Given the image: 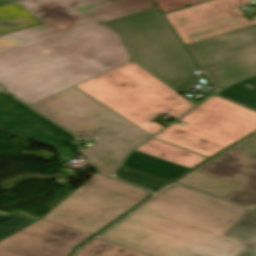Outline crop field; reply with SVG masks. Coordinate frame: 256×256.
<instances>
[{
    "label": "crop field",
    "instance_id": "8a807250",
    "mask_svg": "<svg viewBox=\"0 0 256 256\" xmlns=\"http://www.w3.org/2000/svg\"><path fill=\"white\" fill-rule=\"evenodd\" d=\"M42 22L0 37V84L31 105L130 61L98 22L155 7L152 0H24Z\"/></svg>",
    "mask_w": 256,
    "mask_h": 256
},
{
    "label": "crop field",
    "instance_id": "ac0d7876",
    "mask_svg": "<svg viewBox=\"0 0 256 256\" xmlns=\"http://www.w3.org/2000/svg\"><path fill=\"white\" fill-rule=\"evenodd\" d=\"M247 209L173 185L100 237L157 256H235L246 245L223 235Z\"/></svg>",
    "mask_w": 256,
    "mask_h": 256
},
{
    "label": "crop field",
    "instance_id": "34b2d1b8",
    "mask_svg": "<svg viewBox=\"0 0 256 256\" xmlns=\"http://www.w3.org/2000/svg\"><path fill=\"white\" fill-rule=\"evenodd\" d=\"M31 106L78 137L96 135L95 145L82 151L91 164L105 174L110 175L134 146L149 138L73 87Z\"/></svg>",
    "mask_w": 256,
    "mask_h": 256
},
{
    "label": "crop field",
    "instance_id": "412701ff",
    "mask_svg": "<svg viewBox=\"0 0 256 256\" xmlns=\"http://www.w3.org/2000/svg\"><path fill=\"white\" fill-rule=\"evenodd\" d=\"M102 25L119 34L135 64L174 92L198 80L197 67L156 7Z\"/></svg>",
    "mask_w": 256,
    "mask_h": 256
},
{
    "label": "crop field",
    "instance_id": "f4fd0767",
    "mask_svg": "<svg viewBox=\"0 0 256 256\" xmlns=\"http://www.w3.org/2000/svg\"><path fill=\"white\" fill-rule=\"evenodd\" d=\"M109 178L97 173L43 218L92 235L149 194Z\"/></svg>",
    "mask_w": 256,
    "mask_h": 256
},
{
    "label": "crop field",
    "instance_id": "dd49c442",
    "mask_svg": "<svg viewBox=\"0 0 256 256\" xmlns=\"http://www.w3.org/2000/svg\"><path fill=\"white\" fill-rule=\"evenodd\" d=\"M187 48L218 90L256 73V24Z\"/></svg>",
    "mask_w": 256,
    "mask_h": 256
},
{
    "label": "crop field",
    "instance_id": "e52e79f7",
    "mask_svg": "<svg viewBox=\"0 0 256 256\" xmlns=\"http://www.w3.org/2000/svg\"><path fill=\"white\" fill-rule=\"evenodd\" d=\"M248 3V0H213L165 14V17L185 45H188L255 24L256 17L248 21L236 9L237 6Z\"/></svg>",
    "mask_w": 256,
    "mask_h": 256
},
{
    "label": "crop field",
    "instance_id": "d8731c3e",
    "mask_svg": "<svg viewBox=\"0 0 256 256\" xmlns=\"http://www.w3.org/2000/svg\"><path fill=\"white\" fill-rule=\"evenodd\" d=\"M0 129L55 147L64 162L79 155L74 137L3 92Z\"/></svg>",
    "mask_w": 256,
    "mask_h": 256
},
{
    "label": "crop field",
    "instance_id": "5a996713",
    "mask_svg": "<svg viewBox=\"0 0 256 256\" xmlns=\"http://www.w3.org/2000/svg\"><path fill=\"white\" fill-rule=\"evenodd\" d=\"M90 235L40 220L0 241V256H68Z\"/></svg>",
    "mask_w": 256,
    "mask_h": 256
},
{
    "label": "crop field",
    "instance_id": "3316defc",
    "mask_svg": "<svg viewBox=\"0 0 256 256\" xmlns=\"http://www.w3.org/2000/svg\"><path fill=\"white\" fill-rule=\"evenodd\" d=\"M185 127L235 142L256 130V113L246 108L212 97L200 107L179 120Z\"/></svg>",
    "mask_w": 256,
    "mask_h": 256
},
{
    "label": "crop field",
    "instance_id": "28ad6ade",
    "mask_svg": "<svg viewBox=\"0 0 256 256\" xmlns=\"http://www.w3.org/2000/svg\"><path fill=\"white\" fill-rule=\"evenodd\" d=\"M75 87L151 135L164 127L150 122V119L162 114L160 111L104 74Z\"/></svg>",
    "mask_w": 256,
    "mask_h": 256
},
{
    "label": "crop field",
    "instance_id": "d1516ede",
    "mask_svg": "<svg viewBox=\"0 0 256 256\" xmlns=\"http://www.w3.org/2000/svg\"><path fill=\"white\" fill-rule=\"evenodd\" d=\"M195 170L242 185L226 199L256 206V153L233 145Z\"/></svg>",
    "mask_w": 256,
    "mask_h": 256
},
{
    "label": "crop field",
    "instance_id": "22f410ed",
    "mask_svg": "<svg viewBox=\"0 0 256 256\" xmlns=\"http://www.w3.org/2000/svg\"><path fill=\"white\" fill-rule=\"evenodd\" d=\"M105 74L161 112L168 113L173 119L195 106L140 69L132 61Z\"/></svg>",
    "mask_w": 256,
    "mask_h": 256
},
{
    "label": "crop field",
    "instance_id": "cbeb9de0",
    "mask_svg": "<svg viewBox=\"0 0 256 256\" xmlns=\"http://www.w3.org/2000/svg\"><path fill=\"white\" fill-rule=\"evenodd\" d=\"M154 138L199 153L211 156L224 149L231 143L182 127L176 123L172 124Z\"/></svg>",
    "mask_w": 256,
    "mask_h": 256
},
{
    "label": "crop field",
    "instance_id": "5142ce71",
    "mask_svg": "<svg viewBox=\"0 0 256 256\" xmlns=\"http://www.w3.org/2000/svg\"><path fill=\"white\" fill-rule=\"evenodd\" d=\"M136 151L160 159H164L188 168L192 167L193 165L201 162L206 158L153 138L145 142L142 146L136 149Z\"/></svg>",
    "mask_w": 256,
    "mask_h": 256
},
{
    "label": "crop field",
    "instance_id": "d9b57169",
    "mask_svg": "<svg viewBox=\"0 0 256 256\" xmlns=\"http://www.w3.org/2000/svg\"><path fill=\"white\" fill-rule=\"evenodd\" d=\"M122 164L169 181L188 169L136 151H133Z\"/></svg>",
    "mask_w": 256,
    "mask_h": 256
},
{
    "label": "crop field",
    "instance_id": "733c2abd",
    "mask_svg": "<svg viewBox=\"0 0 256 256\" xmlns=\"http://www.w3.org/2000/svg\"><path fill=\"white\" fill-rule=\"evenodd\" d=\"M224 236L247 245L236 256H256V208H249Z\"/></svg>",
    "mask_w": 256,
    "mask_h": 256
},
{
    "label": "crop field",
    "instance_id": "4a817a6b",
    "mask_svg": "<svg viewBox=\"0 0 256 256\" xmlns=\"http://www.w3.org/2000/svg\"><path fill=\"white\" fill-rule=\"evenodd\" d=\"M175 182L223 198L240 187L234 183L200 173L195 170L191 171Z\"/></svg>",
    "mask_w": 256,
    "mask_h": 256
},
{
    "label": "crop field",
    "instance_id": "bc2a9ffb",
    "mask_svg": "<svg viewBox=\"0 0 256 256\" xmlns=\"http://www.w3.org/2000/svg\"><path fill=\"white\" fill-rule=\"evenodd\" d=\"M39 23L16 2L0 7V35Z\"/></svg>",
    "mask_w": 256,
    "mask_h": 256
},
{
    "label": "crop field",
    "instance_id": "214f88e0",
    "mask_svg": "<svg viewBox=\"0 0 256 256\" xmlns=\"http://www.w3.org/2000/svg\"><path fill=\"white\" fill-rule=\"evenodd\" d=\"M218 95L256 110V76L240 81L218 93Z\"/></svg>",
    "mask_w": 256,
    "mask_h": 256
},
{
    "label": "crop field",
    "instance_id": "92a150f3",
    "mask_svg": "<svg viewBox=\"0 0 256 256\" xmlns=\"http://www.w3.org/2000/svg\"><path fill=\"white\" fill-rule=\"evenodd\" d=\"M77 256H147L120 245L94 239L84 247L78 250Z\"/></svg>",
    "mask_w": 256,
    "mask_h": 256
},
{
    "label": "crop field",
    "instance_id": "dafd665d",
    "mask_svg": "<svg viewBox=\"0 0 256 256\" xmlns=\"http://www.w3.org/2000/svg\"><path fill=\"white\" fill-rule=\"evenodd\" d=\"M37 220H39V218L20 211H15L12 214L0 212V240Z\"/></svg>",
    "mask_w": 256,
    "mask_h": 256
},
{
    "label": "crop field",
    "instance_id": "00972430",
    "mask_svg": "<svg viewBox=\"0 0 256 256\" xmlns=\"http://www.w3.org/2000/svg\"><path fill=\"white\" fill-rule=\"evenodd\" d=\"M116 176L118 178L139 184L152 191L156 189L158 186H160L161 184L169 182V181L160 179L158 177L123 166V165H121L119 169L116 171Z\"/></svg>",
    "mask_w": 256,
    "mask_h": 256
},
{
    "label": "crop field",
    "instance_id": "a9b5d70f",
    "mask_svg": "<svg viewBox=\"0 0 256 256\" xmlns=\"http://www.w3.org/2000/svg\"><path fill=\"white\" fill-rule=\"evenodd\" d=\"M203 1L206 0H155L162 13L200 3Z\"/></svg>",
    "mask_w": 256,
    "mask_h": 256
},
{
    "label": "crop field",
    "instance_id": "4177f3b9",
    "mask_svg": "<svg viewBox=\"0 0 256 256\" xmlns=\"http://www.w3.org/2000/svg\"><path fill=\"white\" fill-rule=\"evenodd\" d=\"M235 145L248 149L250 151L256 152V135L253 134L244 140L236 143Z\"/></svg>",
    "mask_w": 256,
    "mask_h": 256
},
{
    "label": "crop field",
    "instance_id": "730fd06b",
    "mask_svg": "<svg viewBox=\"0 0 256 256\" xmlns=\"http://www.w3.org/2000/svg\"><path fill=\"white\" fill-rule=\"evenodd\" d=\"M20 1V0H0V6L5 5L11 2Z\"/></svg>",
    "mask_w": 256,
    "mask_h": 256
},
{
    "label": "crop field",
    "instance_id": "eef30255",
    "mask_svg": "<svg viewBox=\"0 0 256 256\" xmlns=\"http://www.w3.org/2000/svg\"><path fill=\"white\" fill-rule=\"evenodd\" d=\"M256 134V133H255Z\"/></svg>",
    "mask_w": 256,
    "mask_h": 256
}]
</instances>
